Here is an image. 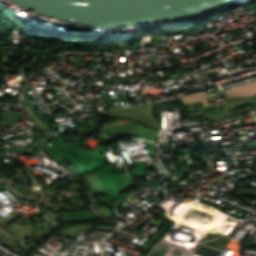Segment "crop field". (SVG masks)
<instances>
[{"label": "crop field", "instance_id": "1", "mask_svg": "<svg viewBox=\"0 0 256 256\" xmlns=\"http://www.w3.org/2000/svg\"><path fill=\"white\" fill-rule=\"evenodd\" d=\"M227 97H239L256 94V81L232 87L226 90Z\"/></svg>", "mask_w": 256, "mask_h": 256}, {"label": "crop field", "instance_id": "2", "mask_svg": "<svg viewBox=\"0 0 256 256\" xmlns=\"http://www.w3.org/2000/svg\"><path fill=\"white\" fill-rule=\"evenodd\" d=\"M27 109L31 113V115L34 117V119L37 121V123L40 125V127L43 128L42 124L39 122V120L36 118V116L33 114V112L30 110V108L27 107Z\"/></svg>", "mask_w": 256, "mask_h": 256}, {"label": "crop field", "instance_id": "3", "mask_svg": "<svg viewBox=\"0 0 256 256\" xmlns=\"http://www.w3.org/2000/svg\"><path fill=\"white\" fill-rule=\"evenodd\" d=\"M82 227H86V226H82ZM82 227H74V228H67V229H75V228H82ZM67 229H64V230H67ZM76 230H79V229H75V230H67V231H64V232H68V231H76ZM76 232H73V233H67L65 235H68V234H74Z\"/></svg>", "mask_w": 256, "mask_h": 256}, {"label": "crop field", "instance_id": "4", "mask_svg": "<svg viewBox=\"0 0 256 256\" xmlns=\"http://www.w3.org/2000/svg\"><path fill=\"white\" fill-rule=\"evenodd\" d=\"M90 178L92 179L93 183L95 184V186H97V183L94 181V179L91 177V175H89ZM86 179L88 180L89 184L91 185V187H93V184L91 183L90 179L88 178V176H86Z\"/></svg>", "mask_w": 256, "mask_h": 256}, {"label": "crop field", "instance_id": "5", "mask_svg": "<svg viewBox=\"0 0 256 256\" xmlns=\"http://www.w3.org/2000/svg\"><path fill=\"white\" fill-rule=\"evenodd\" d=\"M202 102H204V107L206 106V99H202Z\"/></svg>", "mask_w": 256, "mask_h": 256}]
</instances>
